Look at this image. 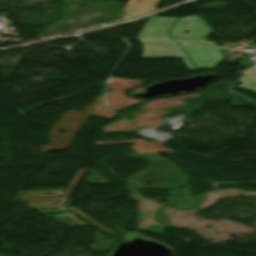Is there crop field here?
<instances>
[{
  "label": "crop field",
  "mask_w": 256,
  "mask_h": 256,
  "mask_svg": "<svg viewBox=\"0 0 256 256\" xmlns=\"http://www.w3.org/2000/svg\"><path fill=\"white\" fill-rule=\"evenodd\" d=\"M204 28H207L204 30ZM189 33L185 34L184 31ZM211 28L198 16L189 15L178 18L169 31L170 36L176 40H207Z\"/></svg>",
  "instance_id": "crop-field-1"
},
{
  "label": "crop field",
  "mask_w": 256,
  "mask_h": 256,
  "mask_svg": "<svg viewBox=\"0 0 256 256\" xmlns=\"http://www.w3.org/2000/svg\"><path fill=\"white\" fill-rule=\"evenodd\" d=\"M179 43L198 68L213 69L223 60L213 44L203 42Z\"/></svg>",
  "instance_id": "crop-field-2"
},
{
  "label": "crop field",
  "mask_w": 256,
  "mask_h": 256,
  "mask_svg": "<svg viewBox=\"0 0 256 256\" xmlns=\"http://www.w3.org/2000/svg\"><path fill=\"white\" fill-rule=\"evenodd\" d=\"M142 58L182 59L190 71L197 70L177 42L142 41Z\"/></svg>",
  "instance_id": "crop-field-3"
},
{
  "label": "crop field",
  "mask_w": 256,
  "mask_h": 256,
  "mask_svg": "<svg viewBox=\"0 0 256 256\" xmlns=\"http://www.w3.org/2000/svg\"><path fill=\"white\" fill-rule=\"evenodd\" d=\"M175 19L164 17L149 18L138 38L172 40L168 37L167 30Z\"/></svg>",
  "instance_id": "crop-field-4"
},
{
  "label": "crop field",
  "mask_w": 256,
  "mask_h": 256,
  "mask_svg": "<svg viewBox=\"0 0 256 256\" xmlns=\"http://www.w3.org/2000/svg\"><path fill=\"white\" fill-rule=\"evenodd\" d=\"M158 2L159 0H137L133 7L130 9L129 13L136 16L150 12L154 10Z\"/></svg>",
  "instance_id": "crop-field-5"
},
{
  "label": "crop field",
  "mask_w": 256,
  "mask_h": 256,
  "mask_svg": "<svg viewBox=\"0 0 256 256\" xmlns=\"http://www.w3.org/2000/svg\"><path fill=\"white\" fill-rule=\"evenodd\" d=\"M239 82L243 83L239 88L256 93V75L249 73Z\"/></svg>",
  "instance_id": "crop-field-6"
},
{
  "label": "crop field",
  "mask_w": 256,
  "mask_h": 256,
  "mask_svg": "<svg viewBox=\"0 0 256 256\" xmlns=\"http://www.w3.org/2000/svg\"><path fill=\"white\" fill-rule=\"evenodd\" d=\"M134 3H135V1L129 0V2L127 3V5H126L125 8H124V13L129 14L128 11H129V9L132 7V5H133ZM129 15H131V14H129Z\"/></svg>",
  "instance_id": "crop-field-7"
},
{
  "label": "crop field",
  "mask_w": 256,
  "mask_h": 256,
  "mask_svg": "<svg viewBox=\"0 0 256 256\" xmlns=\"http://www.w3.org/2000/svg\"><path fill=\"white\" fill-rule=\"evenodd\" d=\"M251 73H254V74H256V69L252 70V71H251Z\"/></svg>",
  "instance_id": "crop-field-8"
}]
</instances>
